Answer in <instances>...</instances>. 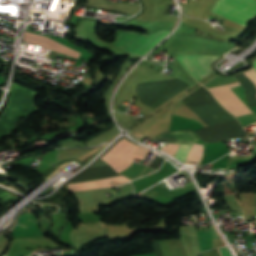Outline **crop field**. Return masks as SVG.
<instances>
[{
	"mask_svg": "<svg viewBox=\"0 0 256 256\" xmlns=\"http://www.w3.org/2000/svg\"><path fill=\"white\" fill-rule=\"evenodd\" d=\"M253 65H254V67L256 68V60L254 61Z\"/></svg>",
	"mask_w": 256,
	"mask_h": 256,
	"instance_id": "17",
	"label": "crop field"
},
{
	"mask_svg": "<svg viewBox=\"0 0 256 256\" xmlns=\"http://www.w3.org/2000/svg\"><path fill=\"white\" fill-rule=\"evenodd\" d=\"M178 147H179L178 144H168V143H166L165 147L163 148V151H166L167 153L174 156Z\"/></svg>",
	"mask_w": 256,
	"mask_h": 256,
	"instance_id": "13",
	"label": "crop field"
},
{
	"mask_svg": "<svg viewBox=\"0 0 256 256\" xmlns=\"http://www.w3.org/2000/svg\"><path fill=\"white\" fill-rule=\"evenodd\" d=\"M212 13L246 26L256 18V0H219Z\"/></svg>",
	"mask_w": 256,
	"mask_h": 256,
	"instance_id": "1",
	"label": "crop field"
},
{
	"mask_svg": "<svg viewBox=\"0 0 256 256\" xmlns=\"http://www.w3.org/2000/svg\"><path fill=\"white\" fill-rule=\"evenodd\" d=\"M256 86V71L255 69H250L248 71L243 72Z\"/></svg>",
	"mask_w": 256,
	"mask_h": 256,
	"instance_id": "14",
	"label": "crop field"
},
{
	"mask_svg": "<svg viewBox=\"0 0 256 256\" xmlns=\"http://www.w3.org/2000/svg\"><path fill=\"white\" fill-rule=\"evenodd\" d=\"M26 42H31V43H35L41 46H44L46 48L49 49H53L55 51H58L60 53L66 54V55H70L73 57L78 58L80 53L48 38L45 36H41V35H37V34H33V33H29V32H25L24 34V38H23Z\"/></svg>",
	"mask_w": 256,
	"mask_h": 256,
	"instance_id": "8",
	"label": "crop field"
},
{
	"mask_svg": "<svg viewBox=\"0 0 256 256\" xmlns=\"http://www.w3.org/2000/svg\"><path fill=\"white\" fill-rule=\"evenodd\" d=\"M169 33V31H160L150 36H143L144 34L140 35L137 33L121 31V34L114 45L119 46L129 52L144 55Z\"/></svg>",
	"mask_w": 256,
	"mask_h": 256,
	"instance_id": "3",
	"label": "crop field"
},
{
	"mask_svg": "<svg viewBox=\"0 0 256 256\" xmlns=\"http://www.w3.org/2000/svg\"><path fill=\"white\" fill-rule=\"evenodd\" d=\"M150 151V149H147L145 147L140 146L136 151H134V154H139V155H143L146 156L148 154V152Z\"/></svg>",
	"mask_w": 256,
	"mask_h": 256,
	"instance_id": "15",
	"label": "crop field"
},
{
	"mask_svg": "<svg viewBox=\"0 0 256 256\" xmlns=\"http://www.w3.org/2000/svg\"><path fill=\"white\" fill-rule=\"evenodd\" d=\"M128 180L129 179L123 176H117V177L92 180V181H86V182H80V183H74V184H67V186L70 192H74V191L112 187L114 185H120Z\"/></svg>",
	"mask_w": 256,
	"mask_h": 256,
	"instance_id": "7",
	"label": "crop field"
},
{
	"mask_svg": "<svg viewBox=\"0 0 256 256\" xmlns=\"http://www.w3.org/2000/svg\"><path fill=\"white\" fill-rule=\"evenodd\" d=\"M204 145L194 144L192 145L187 158L201 160L203 155Z\"/></svg>",
	"mask_w": 256,
	"mask_h": 256,
	"instance_id": "11",
	"label": "crop field"
},
{
	"mask_svg": "<svg viewBox=\"0 0 256 256\" xmlns=\"http://www.w3.org/2000/svg\"><path fill=\"white\" fill-rule=\"evenodd\" d=\"M137 147L138 146L123 139L101 159L109 163L119 173L132 163L134 157L144 159L143 156L131 154Z\"/></svg>",
	"mask_w": 256,
	"mask_h": 256,
	"instance_id": "4",
	"label": "crop field"
},
{
	"mask_svg": "<svg viewBox=\"0 0 256 256\" xmlns=\"http://www.w3.org/2000/svg\"><path fill=\"white\" fill-rule=\"evenodd\" d=\"M229 85L250 110L242 85L239 82L231 83ZM229 85L210 88L208 90L212 93L216 100L233 115L238 116L248 114L250 112L252 113L251 110L249 112V110L245 107Z\"/></svg>",
	"mask_w": 256,
	"mask_h": 256,
	"instance_id": "2",
	"label": "crop field"
},
{
	"mask_svg": "<svg viewBox=\"0 0 256 256\" xmlns=\"http://www.w3.org/2000/svg\"><path fill=\"white\" fill-rule=\"evenodd\" d=\"M189 149H190V146L181 145L174 157H176L178 160L183 162L187 153H188V151H189Z\"/></svg>",
	"mask_w": 256,
	"mask_h": 256,
	"instance_id": "12",
	"label": "crop field"
},
{
	"mask_svg": "<svg viewBox=\"0 0 256 256\" xmlns=\"http://www.w3.org/2000/svg\"><path fill=\"white\" fill-rule=\"evenodd\" d=\"M219 56H180L177 59L190 75L199 80L212 71L210 65Z\"/></svg>",
	"mask_w": 256,
	"mask_h": 256,
	"instance_id": "5",
	"label": "crop field"
},
{
	"mask_svg": "<svg viewBox=\"0 0 256 256\" xmlns=\"http://www.w3.org/2000/svg\"><path fill=\"white\" fill-rule=\"evenodd\" d=\"M10 233L14 238L43 236L39 231L37 219L31 212L21 214L18 224Z\"/></svg>",
	"mask_w": 256,
	"mask_h": 256,
	"instance_id": "6",
	"label": "crop field"
},
{
	"mask_svg": "<svg viewBox=\"0 0 256 256\" xmlns=\"http://www.w3.org/2000/svg\"><path fill=\"white\" fill-rule=\"evenodd\" d=\"M202 254H203V256H219L218 249L211 250V251H208V252H204ZM220 255H221V253H220Z\"/></svg>",
	"mask_w": 256,
	"mask_h": 256,
	"instance_id": "16",
	"label": "crop field"
},
{
	"mask_svg": "<svg viewBox=\"0 0 256 256\" xmlns=\"http://www.w3.org/2000/svg\"><path fill=\"white\" fill-rule=\"evenodd\" d=\"M164 256H187L179 239L160 241Z\"/></svg>",
	"mask_w": 256,
	"mask_h": 256,
	"instance_id": "10",
	"label": "crop field"
},
{
	"mask_svg": "<svg viewBox=\"0 0 256 256\" xmlns=\"http://www.w3.org/2000/svg\"><path fill=\"white\" fill-rule=\"evenodd\" d=\"M88 6L136 14L139 4L109 3L107 0H87Z\"/></svg>",
	"mask_w": 256,
	"mask_h": 256,
	"instance_id": "9",
	"label": "crop field"
}]
</instances>
